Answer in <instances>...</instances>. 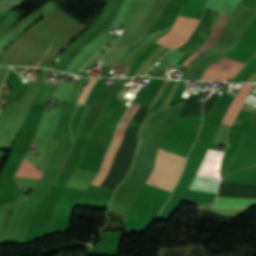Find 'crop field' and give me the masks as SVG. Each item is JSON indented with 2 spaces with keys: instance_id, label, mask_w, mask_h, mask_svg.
Wrapping results in <instances>:
<instances>
[{
  "instance_id": "crop-field-1",
  "label": "crop field",
  "mask_w": 256,
  "mask_h": 256,
  "mask_svg": "<svg viewBox=\"0 0 256 256\" xmlns=\"http://www.w3.org/2000/svg\"><path fill=\"white\" fill-rule=\"evenodd\" d=\"M185 160V158L158 149L155 167L147 180V184L171 192Z\"/></svg>"
},
{
  "instance_id": "crop-field-3",
  "label": "crop field",
  "mask_w": 256,
  "mask_h": 256,
  "mask_svg": "<svg viewBox=\"0 0 256 256\" xmlns=\"http://www.w3.org/2000/svg\"><path fill=\"white\" fill-rule=\"evenodd\" d=\"M242 66L243 63L225 57L209 66L202 80L228 81Z\"/></svg>"
},
{
  "instance_id": "crop-field-7",
  "label": "crop field",
  "mask_w": 256,
  "mask_h": 256,
  "mask_svg": "<svg viewBox=\"0 0 256 256\" xmlns=\"http://www.w3.org/2000/svg\"><path fill=\"white\" fill-rule=\"evenodd\" d=\"M251 87H252V85L243 84L238 95L236 96V98L233 100V102L229 106V108L222 120L223 123L232 124L234 122Z\"/></svg>"
},
{
  "instance_id": "crop-field-10",
  "label": "crop field",
  "mask_w": 256,
  "mask_h": 256,
  "mask_svg": "<svg viewBox=\"0 0 256 256\" xmlns=\"http://www.w3.org/2000/svg\"><path fill=\"white\" fill-rule=\"evenodd\" d=\"M91 80H92V79H91ZM91 80H90V81H91ZM96 81H97V79H93V80L89 83V85L87 86V88L85 89V91H84V93H83V95H82L80 104H84V102H85V100H86V98H87V96H88V94H89L91 88L93 87V85L95 84Z\"/></svg>"
},
{
  "instance_id": "crop-field-6",
  "label": "crop field",
  "mask_w": 256,
  "mask_h": 256,
  "mask_svg": "<svg viewBox=\"0 0 256 256\" xmlns=\"http://www.w3.org/2000/svg\"><path fill=\"white\" fill-rule=\"evenodd\" d=\"M256 204V200L218 196L211 208L248 210Z\"/></svg>"
},
{
  "instance_id": "crop-field-2",
  "label": "crop field",
  "mask_w": 256,
  "mask_h": 256,
  "mask_svg": "<svg viewBox=\"0 0 256 256\" xmlns=\"http://www.w3.org/2000/svg\"><path fill=\"white\" fill-rule=\"evenodd\" d=\"M197 23L198 20L179 15L169 32L157 40V42L171 49L177 45L183 44L191 35Z\"/></svg>"
},
{
  "instance_id": "crop-field-4",
  "label": "crop field",
  "mask_w": 256,
  "mask_h": 256,
  "mask_svg": "<svg viewBox=\"0 0 256 256\" xmlns=\"http://www.w3.org/2000/svg\"><path fill=\"white\" fill-rule=\"evenodd\" d=\"M136 107V105L134 104H131V106L128 108V110L125 112L122 120L120 121L118 127H117V130H116V133H115V139L113 140L111 146L109 147V149L107 150L106 152V155H105V158H104V161H103V164H102V167H101V170L99 172V174L97 175V177L92 181V184L96 185V183L100 180V178L104 175L105 171H106V168H107V165H108V162H109V159H110V156H111V153L113 152L114 148L116 147L119 139H120V136H121V132H122V128L125 124V122L127 121V119L129 118L130 114L132 113V111L134 110V108ZM139 108V105L137 106V108L135 109L134 113L132 114L131 118L129 119L124 131H123V134H122V140L120 141L116 151L114 152L113 156H112V160L110 162V166L107 170V173H105L103 179L101 180V182H99L98 185H100L104 179L106 178L107 174H108V171L111 169V166H112V163H113V160H114V157H115V154L118 150V148L120 147V144L122 143L123 139H124V134L126 132V128L128 127L129 123L131 122L134 114L136 113L137 109ZM110 172V171H109Z\"/></svg>"
},
{
  "instance_id": "crop-field-11",
  "label": "crop field",
  "mask_w": 256,
  "mask_h": 256,
  "mask_svg": "<svg viewBox=\"0 0 256 256\" xmlns=\"http://www.w3.org/2000/svg\"><path fill=\"white\" fill-rule=\"evenodd\" d=\"M170 99V98H169Z\"/></svg>"
},
{
  "instance_id": "crop-field-9",
  "label": "crop field",
  "mask_w": 256,
  "mask_h": 256,
  "mask_svg": "<svg viewBox=\"0 0 256 256\" xmlns=\"http://www.w3.org/2000/svg\"><path fill=\"white\" fill-rule=\"evenodd\" d=\"M41 174V171H38L27 160L24 159L22 165L19 167L18 172L15 176L38 179L41 176Z\"/></svg>"
},
{
  "instance_id": "crop-field-8",
  "label": "crop field",
  "mask_w": 256,
  "mask_h": 256,
  "mask_svg": "<svg viewBox=\"0 0 256 256\" xmlns=\"http://www.w3.org/2000/svg\"><path fill=\"white\" fill-rule=\"evenodd\" d=\"M229 18V15L221 13L220 17L218 18L216 24L214 25L213 29L211 30L209 36L207 37L206 41L200 46V48L191 56L189 57L184 65L187 66V64L200 52L204 51L206 48L213 45L217 39L219 38L227 20Z\"/></svg>"
},
{
  "instance_id": "crop-field-5",
  "label": "crop field",
  "mask_w": 256,
  "mask_h": 256,
  "mask_svg": "<svg viewBox=\"0 0 256 256\" xmlns=\"http://www.w3.org/2000/svg\"><path fill=\"white\" fill-rule=\"evenodd\" d=\"M223 152L208 150L198 173L220 177L218 169Z\"/></svg>"
}]
</instances>
